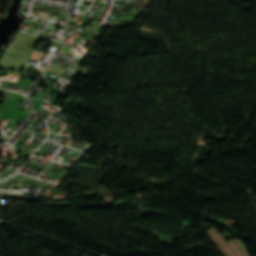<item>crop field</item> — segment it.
<instances>
[{
    "instance_id": "2",
    "label": "crop field",
    "mask_w": 256,
    "mask_h": 256,
    "mask_svg": "<svg viewBox=\"0 0 256 256\" xmlns=\"http://www.w3.org/2000/svg\"><path fill=\"white\" fill-rule=\"evenodd\" d=\"M229 244L239 256H248L237 239L229 241Z\"/></svg>"
},
{
    "instance_id": "1",
    "label": "crop field",
    "mask_w": 256,
    "mask_h": 256,
    "mask_svg": "<svg viewBox=\"0 0 256 256\" xmlns=\"http://www.w3.org/2000/svg\"><path fill=\"white\" fill-rule=\"evenodd\" d=\"M208 233L213 238L214 242L223 250L226 256H237V254L232 250V248L215 228L208 231Z\"/></svg>"
}]
</instances>
